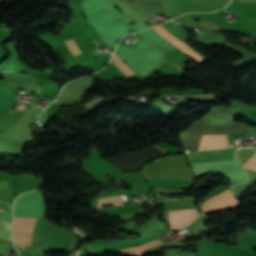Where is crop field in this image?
I'll list each match as a JSON object with an SVG mask.
<instances>
[{
  "instance_id": "crop-field-12",
  "label": "crop field",
  "mask_w": 256,
  "mask_h": 256,
  "mask_svg": "<svg viewBox=\"0 0 256 256\" xmlns=\"http://www.w3.org/2000/svg\"><path fill=\"white\" fill-rule=\"evenodd\" d=\"M155 147V146H154ZM155 148H157V147H155ZM157 149H159V148H157ZM160 151H162L163 153H165V154H167L166 152H164L163 150H161V149H159Z\"/></svg>"
},
{
  "instance_id": "crop-field-5",
  "label": "crop field",
  "mask_w": 256,
  "mask_h": 256,
  "mask_svg": "<svg viewBox=\"0 0 256 256\" xmlns=\"http://www.w3.org/2000/svg\"><path fill=\"white\" fill-rule=\"evenodd\" d=\"M227 147L226 134L204 136L198 151Z\"/></svg>"
},
{
  "instance_id": "crop-field-8",
  "label": "crop field",
  "mask_w": 256,
  "mask_h": 256,
  "mask_svg": "<svg viewBox=\"0 0 256 256\" xmlns=\"http://www.w3.org/2000/svg\"><path fill=\"white\" fill-rule=\"evenodd\" d=\"M15 97L16 95L12 94V87L8 86L7 90L3 93V95L0 98V109H12V107L16 103Z\"/></svg>"
},
{
  "instance_id": "crop-field-11",
  "label": "crop field",
  "mask_w": 256,
  "mask_h": 256,
  "mask_svg": "<svg viewBox=\"0 0 256 256\" xmlns=\"http://www.w3.org/2000/svg\"><path fill=\"white\" fill-rule=\"evenodd\" d=\"M22 107V106H21ZM21 107H17L16 110H23V108Z\"/></svg>"
},
{
  "instance_id": "crop-field-4",
  "label": "crop field",
  "mask_w": 256,
  "mask_h": 256,
  "mask_svg": "<svg viewBox=\"0 0 256 256\" xmlns=\"http://www.w3.org/2000/svg\"><path fill=\"white\" fill-rule=\"evenodd\" d=\"M168 214L170 230L183 228L198 217L195 209L172 210Z\"/></svg>"
},
{
  "instance_id": "crop-field-6",
  "label": "crop field",
  "mask_w": 256,
  "mask_h": 256,
  "mask_svg": "<svg viewBox=\"0 0 256 256\" xmlns=\"http://www.w3.org/2000/svg\"><path fill=\"white\" fill-rule=\"evenodd\" d=\"M12 217L11 214L0 209V237L11 239Z\"/></svg>"
},
{
  "instance_id": "crop-field-10",
  "label": "crop field",
  "mask_w": 256,
  "mask_h": 256,
  "mask_svg": "<svg viewBox=\"0 0 256 256\" xmlns=\"http://www.w3.org/2000/svg\"><path fill=\"white\" fill-rule=\"evenodd\" d=\"M67 48L69 49V51L72 53L73 56H76V53L77 55L81 54V51L79 50V48L77 47V45L75 44V42L73 41V39L71 40H68V43L71 45V47L74 49V52L73 49L70 47V45L67 43V41H64Z\"/></svg>"
},
{
  "instance_id": "crop-field-9",
  "label": "crop field",
  "mask_w": 256,
  "mask_h": 256,
  "mask_svg": "<svg viewBox=\"0 0 256 256\" xmlns=\"http://www.w3.org/2000/svg\"><path fill=\"white\" fill-rule=\"evenodd\" d=\"M114 56L133 74L135 73L134 71H132L125 63H123L119 57L114 54ZM112 57L130 76L132 75L115 57ZM111 59V61L127 76L129 77V75L113 60Z\"/></svg>"
},
{
  "instance_id": "crop-field-3",
  "label": "crop field",
  "mask_w": 256,
  "mask_h": 256,
  "mask_svg": "<svg viewBox=\"0 0 256 256\" xmlns=\"http://www.w3.org/2000/svg\"><path fill=\"white\" fill-rule=\"evenodd\" d=\"M234 148L186 154L190 163L233 159Z\"/></svg>"
},
{
  "instance_id": "crop-field-1",
  "label": "crop field",
  "mask_w": 256,
  "mask_h": 256,
  "mask_svg": "<svg viewBox=\"0 0 256 256\" xmlns=\"http://www.w3.org/2000/svg\"><path fill=\"white\" fill-rule=\"evenodd\" d=\"M173 18L186 12L217 11L224 7L229 0H163Z\"/></svg>"
},
{
  "instance_id": "crop-field-7",
  "label": "crop field",
  "mask_w": 256,
  "mask_h": 256,
  "mask_svg": "<svg viewBox=\"0 0 256 256\" xmlns=\"http://www.w3.org/2000/svg\"><path fill=\"white\" fill-rule=\"evenodd\" d=\"M158 28L160 31H162L164 34H166L168 37H170L172 40H174L175 42H177L178 44H180L181 46H183L184 48H186L188 51H190L194 56H196L199 60H201L202 62L205 61L204 59H202L200 56H198L196 53H194L192 50H190L188 47H186L184 44H182L179 40H177L175 37H173L171 34H169L167 31H165L163 28H161L160 26L156 27ZM156 28H153L156 32H158L160 35H162L164 38H166L169 42H171L174 46H176L177 48H179L181 51H183L184 53H186L188 56H190L191 58H193L196 62H198L199 64L202 63L201 61H199L196 57H194L191 53H189L187 50H185L183 47H181L180 45H178L177 43H175L174 41H172L170 38H168L166 35H164L163 33H161L159 30H157Z\"/></svg>"
},
{
  "instance_id": "crop-field-13",
  "label": "crop field",
  "mask_w": 256,
  "mask_h": 256,
  "mask_svg": "<svg viewBox=\"0 0 256 256\" xmlns=\"http://www.w3.org/2000/svg\"><path fill=\"white\" fill-rule=\"evenodd\" d=\"M231 146H234V145H231ZM229 147V146H228Z\"/></svg>"
},
{
  "instance_id": "crop-field-2",
  "label": "crop field",
  "mask_w": 256,
  "mask_h": 256,
  "mask_svg": "<svg viewBox=\"0 0 256 256\" xmlns=\"http://www.w3.org/2000/svg\"><path fill=\"white\" fill-rule=\"evenodd\" d=\"M229 193L230 190L228 189ZM236 201V200H235ZM234 201V199L228 194L227 190L206 200L202 204V210L205 212H213V211H219V210H225V209H231L239 207L237 203Z\"/></svg>"
}]
</instances>
